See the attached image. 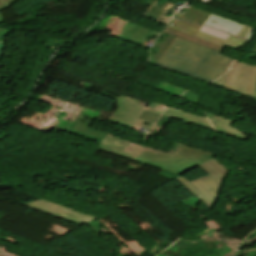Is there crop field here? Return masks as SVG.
Listing matches in <instances>:
<instances>
[{
    "label": "crop field",
    "mask_w": 256,
    "mask_h": 256,
    "mask_svg": "<svg viewBox=\"0 0 256 256\" xmlns=\"http://www.w3.org/2000/svg\"><path fill=\"white\" fill-rule=\"evenodd\" d=\"M198 97H199V95L198 94H195V93H193V92H190V91H188L187 93H185L183 96H181V98H184V99H186V100H189V101H191V102H193V103H197V101H198Z\"/></svg>",
    "instance_id": "obj_13"
},
{
    "label": "crop field",
    "mask_w": 256,
    "mask_h": 256,
    "mask_svg": "<svg viewBox=\"0 0 256 256\" xmlns=\"http://www.w3.org/2000/svg\"><path fill=\"white\" fill-rule=\"evenodd\" d=\"M163 32L172 34V35H174V36H177V37L186 39V40L191 41V42H194V43L201 44V45H203V46H205V47H207V48L216 50V51H218V52H222V50H223V47H221V46L214 45V44H212V43L206 42V41H204V40H201V39H199V38L193 37V36H191V35L185 34V33H183V32L177 31V30L172 29V28L165 27L164 30H163Z\"/></svg>",
    "instance_id": "obj_10"
},
{
    "label": "crop field",
    "mask_w": 256,
    "mask_h": 256,
    "mask_svg": "<svg viewBox=\"0 0 256 256\" xmlns=\"http://www.w3.org/2000/svg\"><path fill=\"white\" fill-rule=\"evenodd\" d=\"M1 41H4V40H0V42H1Z\"/></svg>",
    "instance_id": "obj_20"
},
{
    "label": "crop field",
    "mask_w": 256,
    "mask_h": 256,
    "mask_svg": "<svg viewBox=\"0 0 256 256\" xmlns=\"http://www.w3.org/2000/svg\"><path fill=\"white\" fill-rule=\"evenodd\" d=\"M237 35L243 24L212 14L204 24Z\"/></svg>",
    "instance_id": "obj_8"
},
{
    "label": "crop field",
    "mask_w": 256,
    "mask_h": 256,
    "mask_svg": "<svg viewBox=\"0 0 256 256\" xmlns=\"http://www.w3.org/2000/svg\"><path fill=\"white\" fill-rule=\"evenodd\" d=\"M211 85L256 101V66L236 59L229 71Z\"/></svg>",
    "instance_id": "obj_4"
},
{
    "label": "crop field",
    "mask_w": 256,
    "mask_h": 256,
    "mask_svg": "<svg viewBox=\"0 0 256 256\" xmlns=\"http://www.w3.org/2000/svg\"><path fill=\"white\" fill-rule=\"evenodd\" d=\"M232 60L221 53L175 37L155 66L210 83L227 70Z\"/></svg>",
    "instance_id": "obj_1"
},
{
    "label": "crop field",
    "mask_w": 256,
    "mask_h": 256,
    "mask_svg": "<svg viewBox=\"0 0 256 256\" xmlns=\"http://www.w3.org/2000/svg\"><path fill=\"white\" fill-rule=\"evenodd\" d=\"M206 114H207L210 122L213 124V126L216 128V130L219 133H223V134L233 136V137L243 139V140L247 139V137H245L241 131L230 126L231 121H229L225 118L219 117V116L209 114V113H206Z\"/></svg>",
    "instance_id": "obj_7"
},
{
    "label": "crop field",
    "mask_w": 256,
    "mask_h": 256,
    "mask_svg": "<svg viewBox=\"0 0 256 256\" xmlns=\"http://www.w3.org/2000/svg\"><path fill=\"white\" fill-rule=\"evenodd\" d=\"M251 31H252V29L250 28V30H249V32H248V34L246 36V39H250Z\"/></svg>",
    "instance_id": "obj_17"
},
{
    "label": "crop field",
    "mask_w": 256,
    "mask_h": 256,
    "mask_svg": "<svg viewBox=\"0 0 256 256\" xmlns=\"http://www.w3.org/2000/svg\"><path fill=\"white\" fill-rule=\"evenodd\" d=\"M9 5L11 4L7 0H0V11L10 7Z\"/></svg>",
    "instance_id": "obj_14"
},
{
    "label": "crop field",
    "mask_w": 256,
    "mask_h": 256,
    "mask_svg": "<svg viewBox=\"0 0 256 256\" xmlns=\"http://www.w3.org/2000/svg\"><path fill=\"white\" fill-rule=\"evenodd\" d=\"M200 31H203L205 33L211 34L213 36L219 37V38L224 39V40H226L227 37L229 36V34L222 33V32L213 30V29H211L209 27H205V26H202Z\"/></svg>",
    "instance_id": "obj_12"
},
{
    "label": "crop field",
    "mask_w": 256,
    "mask_h": 256,
    "mask_svg": "<svg viewBox=\"0 0 256 256\" xmlns=\"http://www.w3.org/2000/svg\"><path fill=\"white\" fill-rule=\"evenodd\" d=\"M70 133L101 142L98 149L131 160L143 146L76 124Z\"/></svg>",
    "instance_id": "obj_5"
},
{
    "label": "crop field",
    "mask_w": 256,
    "mask_h": 256,
    "mask_svg": "<svg viewBox=\"0 0 256 256\" xmlns=\"http://www.w3.org/2000/svg\"><path fill=\"white\" fill-rule=\"evenodd\" d=\"M157 89L166 91L168 93H171V94H174V95H177V96H179L181 93H183L185 91L183 89H180V88L175 87L173 85L167 84L165 82H161L159 84V86L157 87Z\"/></svg>",
    "instance_id": "obj_11"
},
{
    "label": "crop field",
    "mask_w": 256,
    "mask_h": 256,
    "mask_svg": "<svg viewBox=\"0 0 256 256\" xmlns=\"http://www.w3.org/2000/svg\"><path fill=\"white\" fill-rule=\"evenodd\" d=\"M115 100L119 101V103L113 116L109 117L108 119H103L100 116H97V120L104 123H116L130 128L144 109L162 114L166 108V106L153 102H151L148 106L141 105L137 103L138 100L123 96H120Z\"/></svg>",
    "instance_id": "obj_6"
},
{
    "label": "crop field",
    "mask_w": 256,
    "mask_h": 256,
    "mask_svg": "<svg viewBox=\"0 0 256 256\" xmlns=\"http://www.w3.org/2000/svg\"><path fill=\"white\" fill-rule=\"evenodd\" d=\"M3 45H4V43H0V56H1V53H2Z\"/></svg>",
    "instance_id": "obj_18"
},
{
    "label": "crop field",
    "mask_w": 256,
    "mask_h": 256,
    "mask_svg": "<svg viewBox=\"0 0 256 256\" xmlns=\"http://www.w3.org/2000/svg\"><path fill=\"white\" fill-rule=\"evenodd\" d=\"M3 21H4V18L0 13V23H2ZM3 29H9V28L8 27H3V28L0 27V30H3Z\"/></svg>",
    "instance_id": "obj_15"
},
{
    "label": "crop field",
    "mask_w": 256,
    "mask_h": 256,
    "mask_svg": "<svg viewBox=\"0 0 256 256\" xmlns=\"http://www.w3.org/2000/svg\"><path fill=\"white\" fill-rule=\"evenodd\" d=\"M10 32V30H3V31H0V36H3V35H6Z\"/></svg>",
    "instance_id": "obj_16"
},
{
    "label": "crop field",
    "mask_w": 256,
    "mask_h": 256,
    "mask_svg": "<svg viewBox=\"0 0 256 256\" xmlns=\"http://www.w3.org/2000/svg\"><path fill=\"white\" fill-rule=\"evenodd\" d=\"M11 4L15 3L17 0H8Z\"/></svg>",
    "instance_id": "obj_19"
},
{
    "label": "crop field",
    "mask_w": 256,
    "mask_h": 256,
    "mask_svg": "<svg viewBox=\"0 0 256 256\" xmlns=\"http://www.w3.org/2000/svg\"><path fill=\"white\" fill-rule=\"evenodd\" d=\"M198 167L207 173L208 176L195 179L191 182L181 177L175 179L211 210L228 169L213 158Z\"/></svg>",
    "instance_id": "obj_3"
},
{
    "label": "crop field",
    "mask_w": 256,
    "mask_h": 256,
    "mask_svg": "<svg viewBox=\"0 0 256 256\" xmlns=\"http://www.w3.org/2000/svg\"><path fill=\"white\" fill-rule=\"evenodd\" d=\"M213 156L214 154L175 142L173 148L167 153L145 147L133 162L180 174Z\"/></svg>",
    "instance_id": "obj_2"
},
{
    "label": "crop field",
    "mask_w": 256,
    "mask_h": 256,
    "mask_svg": "<svg viewBox=\"0 0 256 256\" xmlns=\"http://www.w3.org/2000/svg\"><path fill=\"white\" fill-rule=\"evenodd\" d=\"M163 115H167L176 119H180L186 122H190L196 125H200L206 128L212 129L210 123L208 122L207 118L196 116L187 112H183L174 108L169 107Z\"/></svg>",
    "instance_id": "obj_9"
}]
</instances>
